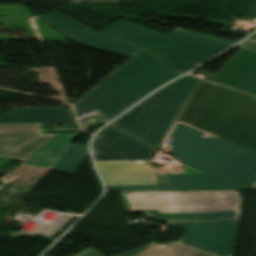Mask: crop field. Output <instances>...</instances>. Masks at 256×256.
I'll use <instances>...</instances> for the list:
<instances>
[{
	"label": "crop field",
	"instance_id": "9",
	"mask_svg": "<svg viewBox=\"0 0 256 256\" xmlns=\"http://www.w3.org/2000/svg\"><path fill=\"white\" fill-rule=\"evenodd\" d=\"M95 161L152 160L157 148L112 127L93 140Z\"/></svg>",
	"mask_w": 256,
	"mask_h": 256
},
{
	"label": "crop field",
	"instance_id": "8",
	"mask_svg": "<svg viewBox=\"0 0 256 256\" xmlns=\"http://www.w3.org/2000/svg\"><path fill=\"white\" fill-rule=\"evenodd\" d=\"M239 221L169 222L186 231L182 244L219 256H233Z\"/></svg>",
	"mask_w": 256,
	"mask_h": 256
},
{
	"label": "crop field",
	"instance_id": "6",
	"mask_svg": "<svg viewBox=\"0 0 256 256\" xmlns=\"http://www.w3.org/2000/svg\"><path fill=\"white\" fill-rule=\"evenodd\" d=\"M199 79L183 77L160 89L111 125L159 148Z\"/></svg>",
	"mask_w": 256,
	"mask_h": 256
},
{
	"label": "crop field",
	"instance_id": "10",
	"mask_svg": "<svg viewBox=\"0 0 256 256\" xmlns=\"http://www.w3.org/2000/svg\"><path fill=\"white\" fill-rule=\"evenodd\" d=\"M71 40L89 47L129 58L140 48L103 35L57 11L39 16Z\"/></svg>",
	"mask_w": 256,
	"mask_h": 256
},
{
	"label": "crop field",
	"instance_id": "16",
	"mask_svg": "<svg viewBox=\"0 0 256 256\" xmlns=\"http://www.w3.org/2000/svg\"><path fill=\"white\" fill-rule=\"evenodd\" d=\"M87 158V145L72 144L52 169L73 174Z\"/></svg>",
	"mask_w": 256,
	"mask_h": 256
},
{
	"label": "crop field",
	"instance_id": "15",
	"mask_svg": "<svg viewBox=\"0 0 256 256\" xmlns=\"http://www.w3.org/2000/svg\"><path fill=\"white\" fill-rule=\"evenodd\" d=\"M118 256H214L196 249H192L170 240L168 243L155 244L153 242L126 252Z\"/></svg>",
	"mask_w": 256,
	"mask_h": 256
},
{
	"label": "crop field",
	"instance_id": "5",
	"mask_svg": "<svg viewBox=\"0 0 256 256\" xmlns=\"http://www.w3.org/2000/svg\"><path fill=\"white\" fill-rule=\"evenodd\" d=\"M102 33L157 53L166 68L181 73L229 47L173 31L164 35L123 20Z\"/></svg>",
	"mask_w": 256,
	"mask_h": 256
},
{
	"label": "crop field",
	"instance_id": "2",
	"mask_svg": "<svg viewBox=\"0 0 256 256\" xmlns=\"http://www.w3.org/2000/svg\"><path fill=\"white\" fill-rule=\"evenodd\" d=\"M178 75L164 69L155 54L142 49L72 106L77 115L93 109L107 122Z\"/></svg>",
	"mask_w": 256,
	"mask_h": 256
},
{
	"label": "crop field",
	"instance_id": "4",
	"mask_svg": "<svg viewBox=\"0 0 256 256\" xmlns=\"http://www.w3.org/2000/svg\"><path fill=\"white\" fill-rule=\"evenodd\" d=\"M202 132L176 124L169 138L170 148L179 160L210 174L247 187L256 179V152L218 136L202 139Z\"/></svg>",
	"mask_w": 256,
	"mask_h": 256
},
{
	"label": "crop field",
	"instance_id": "22",
	"mask_svg": "<svg viewBox=\"0 0 256 256\" xmlns=\"http://www.w3.org/2000/svg\"><path fill=\"white\" fill-rule=\"evenodd\" d=\"M76 256H103V255L98 253L96 250L90 248V249H88V250H86V251H84V252H82V253H80Z\"/></svg>",
	"mask_w": 256,
	"mask_h": 256
},
{
	"label": "crop field",
	"instance_id": "21",
	"mask_svg": "<svg viewBox=\"0 0 256 256\" xmlns=\"http://www.w3.org/2000/svg\"><path fill=\"white\" fill-rule=\"evenodd\" d=\"M237 47L245 48V49L252 50V51L256 52V40H254V39L247 40V41L243 42L242 44L238 45Z\"/></svg>",
	"mask_w": 256,
	"mask_h": 256
},
{
	"label": "crop field",
	"instance_id": "13",
	"mask_svg": "<svg viewBox=\"0 0 256 256\" xmlns=\"http://www.w3.org/2000/svg\"><path fill=\"white\" fill-rule=\"evenodd\" d=\"M45 135L41 123L0 124V158Z\"/></svg>",
	"mask_w": 256,
	"mask_h": 256
},
{
	"label": "crop field",
	"instance_id": "11",
	"mask_svg": "<svg viewBox=\"0 0 256 256\" xmlns=\"http://www.w3.org/2000/svg\"><path fill=\"white\" fill-rule=\"evenodd\" d=\"M42 122L43 133L81 132L80 130L54 131L53 123L64 126H76L71 109L56 107L14 108L6 117H0V123Z\"/></svg>",
	"mask_w": 256,
	"mask_h": 256
},
{
	"label": "crop field",
	"instance_id": "7",
	"mask_svg": "<svg viewBox=\"0 0 256 256\" xmlns=\"http://www.w3.org/2000/svg\"><path fill=\"white\" fill-rule=\"evenodd\" d=\"M114 191L244 189L207 174L156 175L145 162L97 163Z\"/></svg>",
	"mask_w": 256,
	"mask_h": 256
},
{
	"label": "crop field",
	"instance_id": "1",
	"mask_svg": "<svg viewBox=\"0 0 256 256\" xmlns=\"http://www.w3.org/2000/svg\"><path fill=\"white\" fill-rule=\"evenodd\" d=\"M176 121L256 151V99L199 81Z\"/></svg>",
	"mask_w": 256,
	"mask_h": 256
},
{
	"label": "crop field",
	"instance_id": "23",
	"mask_svg": "<svg viewBox=\"0 0 256 256\" xmlns=\"http://www.w3.org/2000/svg\"><path fill=\"white\" fill-rule=\"evenodd\" d=\"M248 189H256V183L252 187H250Z\"/></svg>",
	"mask_w": 256,
	"mask_h": 256
},
{
	"label": "crop field",
	"instance_id": "12",
	"mask_svg": "<svg viewBox=\"0 0 256 256\" xmlns=\"http://www.w3.org/2000/svg\"><path fill=\"white\" fill-rule=\"evenodd\" d=\"M256 73V53L240 49L210 81L236 89Z\"/></svg>",
	"mask_w": 256,
	"mask_h": 256
},
{
	"label": "crop field",
	"instance_id": "20",
	"mask_svg": "<svg viewBox=\"0 0 256 256\" xmlns=\"http://www.w3.org/2000/svg\"><path fill=\"white\" fill-rule=\"evenodd\" d=\"M173 30L184 32V33H188V34H192V35H196V36H200V37H203V38L215 40V41L226 43V44H230V45L236 43V42H233V41H230V40H226V39H222V38H218V37H214V36H210V35L194 32V31L184 30V29H181V28H178V27H176Z\"/></svg>",
	"mask_w": 256,
	"mask_h": 256
},
{
	"label": "crop field",
	"instance_id": "19",
	"mask_svg": "<svg viewBox=\"0 0 256 256\" xmlns=\"http://www.w3.org/2000/svg\"><path fill=\"white\" fill-rule=\"evenodd\" d=\"M236 91L256 97V74L237 88Z\"/></svg>",
	"mask_w": 256,
	"mask_h": 256
},
{
	"label": "crop field",
	"instance_id": "3",
	"mask_svg": "<svg viewBox=\"0 0 256 256\" xmlns=\"http://www.w3.org/2000/svg\"><path fill=\"white\" fill-rule=\"evenodd\" d=\"M127 212L160 220H239L238 190L121 192Z\"/></svg>",
	"mask_w": 256,
	"mask_h": 256
},
{
	"label": "crop field",
	"instance_id": "18",
	"mask_svg": "<svg viewBox=\"0 0 256 256\" xmlns=\"http://www.w3.org/2000/svg\"><path fill=\"white\" fill-rule=\"evenodd\" d=\"M157 174H181V173H202L200 171L194 170L192 168H189L182 163L165 169V168H157L155 169Z\"/></svg>",
	"mask_w": 256,
	"mask_h": 256
},
{
	"label": "crop field",
	"instance_id": "14",
	"mask_svg": "<svg viewBox=\"0 0 256 256\" xmlns=\"http://www.w3.org/2000/svg\"><path fill=\"white\" fill-rule=\"evenodd\" d=\"M79 134H58L21 165L51 168Z\"/></svg>",
	"mask_w": 256,
	"mask_h": 256
},
{
	"label": "crop field",
	"instance_id": "17",
	"mask_svg": "<svg viewBox=\"0 0 256 256\" xmlns=\"http://www.w3.org/2000/svg\"><path fill=\"white\" fill-rule=\"evenodd\" d=\"M56 134H49L42 139L6 156L10 158H15L19 160L25 161L27 158H29L34 152H36L40 147H42L46 142H48L52 137H54Z\"/></svg>",
	"mask_w": 256,
	"mask_h": 256
}]
</instances>
